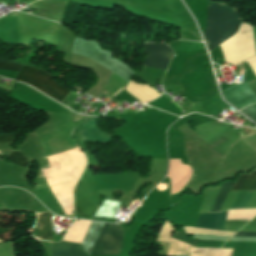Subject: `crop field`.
<instances>
[{
	"label": "crop field",
	"instance_id": "crop-field-1",
	"mask_svg": "<svg viewBox=\"0 0 256 256\" xmlns=\"http://www.w3.org/2000/svg\"><path fill=\"white\" fill-rule=\"evenodd\" d=\"M240 22L241 19L236 9L209 1L206 29L203 35L209 52L232 36Z\"/></svg>",
	"mask_w": 256,
	"mask_h": 256
},
{
	"label": "crop field",
	"instance_id": "crop-field-2",
	"mask_svg": "<svg viewBox=\"0 0 256 256\" xmlns=\"http://www.w3.org/2000/svg\"><path fill=\"white\" fill-rule=\"evenodd\" d=\"M104 224L91 223L82 241L83 249L88 255H90ZM122 240V229L116 225L106 224L90 256L119 255Z\"/></svg>",
	"mask_w": 256,
	"mask_h": 256
},
{
	"label": "crop field",
	"instance_id": "crop-field-3",
	"mask_svg": "<svg viewBox=\"0 0 256 256\" xmlns=\"http://www.w3.org/2000/svg\"><path fill=\"white\" fill-rule=\"evenodd\" d=\"M72 52L89 57L101 63L127 82L135 73V71L131 70L123 63L117 61V59H110L111 53L106 50L101 51L98 48V43L94 41H83L76 37Z\"/></svg>",
	"mask_w": 256,
	"mask_h": 256
},
{
	"label": "crop field",
	"instance_id": "crop-field-4",
	"mask_svg": "<svg viewBox=\"0 0 256 256\" xmlns=\"http://www.w3.org/2000/svg\"><path fill=\"white\" fill-rule=\"evenodd\" d=\"M53 76L36 68L23 66L15 80L29 83L58 101L71 91L52 79Z\"/></svg>",
	"mask_w": 256,
	"mask_h": 256
},
{
	"label": "crop field",
	"instance_id": "crop-field-5",
	"mask_svg": "<svg viewBox=\"0 0 256 256\" xmlns=\"http://www.w3.org/2000/svg\"><path fill=\"white\" fill-rule=\"evenodd\" d=\"M145 54H148L143 65L166 70L173 51L163 43H145Z\"/></svg>",
	"mask_w": 256,
	"mask_h": 256
},
{
	"label": "crop field",
	"instance_id": "crop-field-6",
	"mask_svg": "<svg viewBox=\"0 0 256 256\" xmlns=\"http://www.w3.org/2000/svg\"><path fill=\"white\" fill-rule=\"evenodd\" d=\"M222 94L226 101L239 109L246 105L256 103V96L247 82L223 90Z\"/></svg>",
	"mask_w": 256,
	"mask_h": 256
},
{
	"label": "crop field",
	"instance_id": "crop-field-7",
	"mask_svg": "<svg viewBox=\"0 0 256 256\" xmlns=\"http://www.w3.org/2000/svg\"><path fill=\"white\" fill-rule=\"evenodd\" d=\"M191 168L181 164L180 160L170 159L168 177L171 180V194L177 193L191 176Z\"/></svg>",
	"mask_w": 256,
	"mask_h": 256
},
{
	"label": "crop field",
	"instance_id": "crop-field-8",
	"mask_svg": "<svg viewBox=\"0 0 256 256\" xmlns=\"http://www.w3.org/2000/svg\"><path fill=\"white\" fill-rule=\"evenodd\" d=\"M75 212L80 217L94 218L98 207L83 192L81 180L74 190Z\"/></svg>",
	"mask_w": 256,
	"mask_h": 256
},
{
	"label": "crop field",
	"instance_id": "crop-field-9",
	"mask_svg": "<svg viewBox=\"0 0 256 256\" xmlns=\"http://www.w3.org/2000/svg\"><path fill=\"white\" fill-rule=\"evenodd\" d=\"M51 256H86L80 244L62 240L59 243H50Z\"/></svg>",
	"mask_w": 256,
	"mask_h": 256
},
{
	"label": "crop field",
	"instance_id": "crop-field-10",
	"mask_svg": "<svg viewBox=\"0 0 256 256\" xmlns=\"http://www.w3.org/2000/svg\"><path fill=\"white\" fill-rule=\"evenodd\" d=\"M226 213L227 211L221 213L201 214L199 215L196 227L223 230Z\"/></svg>",
	"mask_w": 256,
	"mask_h": 256
},
{
	"label": "crop field",
	"instance_id": "crop-field-11",
	"mask_svg": "<svg viewBox=\"0 0 256 256\" xmlns=\"http://www.w3.org/2000/svg\"><path fill=\"white\" fill-rule=\"evenodd\" d=\"M39 238L53 241L51 212H37Z\"/></svg>",
	"mask_w": 256,
	"mask_h": 256
},
{
	"label": "crop field",
	"instance_id": "crop-field-12",
	"mask_svg": "<svg viewBox=\"0 0 256 256\" xmlns=\"http://www.w3.org/2000/svg\"><path fill=\"white\" fill-rule=\"evenodd\" d=\"M256 189V170L250 175H241L239 180L235 182L231 190H249Z\"/></svg>",
	"mask_w": 256,
	"mask_h": 256
},
{
	"label": "crop field",
	"instance_id": "crop-field-13",
	"mask_svg": "<svg viewBox=\"0 0 256 256\" xmlns=\"http://www.w3.org/2000/svg\"><path fill=\"white\" fill-rule=\"evenodd\" d=\"M120 202L104 199L96 217H104L113 219L115 212L119 207Z\"/></svg>",
	"mask_w": 256,
	"mask_h": 256
},
{
	"label": "crop field",
	"instance_id": "crop-field-14",
	"mask_svg": "<svg viewBox=\"0 0 256 256\" xmlns=\"http://www.w3.org/2000/svg\"><path fill=\"white\" fill-rule=\"evenodd\" d=\"M231 186H232L231 182H225L222 184V186L218 192V195L216 197V200L213 204L211 212L220 210L222 203H223L228 191L230 190Z\"/></svg>",
	"mask_w": 256,
	"mask_h": 256
},
{
	"label": "crop field",
	"instance_id": "crop-field-15",
	"mask_svg": "<svg viewBox=\"0 0 256 256\" xmlns=\"http://www.w3.org/2000/svg\"><path fill=\"white\" fill-rule=\"evenodd\" d=\"M244 193H245V191H238V193H237L236 197L234 198L233 202L231 203L229 209H237V207H238V205H239V203H240ZM252 193H253V191H246V193H245V195H244V197H243V199H242L238 209L246 207V205H247V203H248Z\"/></svg>",
	"mask_w": 256,
	"mask_h": 256
},
{
	"label": "crop field",
	"instance_id": "crop-field-16",
	"mask_svg": "<svg viewBox=\"0 0 256 256\" xmlns=\"http://www.w3.org/2000/svg\"><path fill=\"white\" fill-rule=\"evenodd\" d=\"M12 163L18 164L20 166L25 167L27 164V160L25 158V156L21 153H17L12 151L11 154L9 155Z\"/></svg>",
	"mask_w": 256,
	"mask_h": 256
},
{
	"label": "crop field",
	"instance_id": "crop-field-17",
	"mask_svg": "<svg viewBox=\"0 0 256 256\" xmlns=\"http://www.w3.org/2000/svg\"><path fill=\"white\" fill-rule=\"evenodd\" d=\"M0 68L19 72V70L22 68V65L0 59Z\"/></svg>",
	"mask_w": 256,
	"mask_h": 256
},
{
	"label": "crop field",
	"instance_id": "crop-field-18",
	"mask_svg": "<svg viewBox=\"0 0 256 256\" xmlns=\"http://www.w3.org/2000/svg\"><path fill=\"white\" fill-rule=\"evenodd\" d=\"M256 107V104L254 105ZM250 105L248 107H245L242 112H244L247 116H249L251 119L256 121V108Z\"/></svg>",
	"mask_w": 256,
	"mask_h": 256
},
{
	"label": "crop field",
	"instance_id": "crop-field-19",
	"mask_svg": "<svg viewBox=\"0 0 256 256\" xmlns=\"http://www.w3.org/2000/svg\"><path fill=\"white\" fill-rule=\"evenodd\" d=\"M173 237H174V238H177V239H179V240H182V241H185V242H188V243H191V244L197 246V243H196L195 240L190 239V238H188V237H185V236H183V235H181V234H178V233H176V232L174 233V236H173Z\"/></svg>",
	"mask_w": 256,
	"mask_h": 256
},
{
	"label": "crop field",
	"instance_id": "crop-field-20",
	"mask_svg": "<svg viewBox=\"0 0 256 256\" xmlns=\"http://www.w3.org/2000/svg\"><path fill=\"white\" fill-rule=\"evenodd\" d=\"M5 142H13L11 134L1 135L0 136V143H5Z\"/></svg>",
	"mask_w": 256,
	"mask_h": 256
},
{
	"label": "crop field",
	"instance_id": "crop-field-21",
	"mask_svg": "<svg viewBox=\"0 0 256 256\" xmlns=\"http://www.w3.org/2000/svg\"><path fill=\"white\" fill-rule=\"evenodd\" d=\"M234 236H250V237H256V233L252 232H238Z\"/></svg>",
	"mask_w": 256,
	"mask_h": 256
}]
</instances>
